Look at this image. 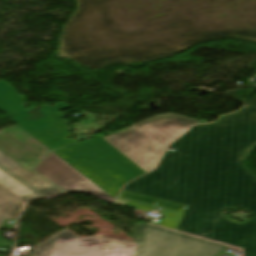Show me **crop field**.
Instances as JSON below:
<instances>
[{
  "label": "crop field",
  "mask_w": 256,
  "mask_h": 256,
  "mask_svg": "<svg viewBox=\"0 0 256 256\" xmlns=\"http://www.w3.org/2000/svg\"><path fill=\"white\" fill-rule=\"evenodd\" d=\"M195 123L175 115L153 117L103 139L147 172L156 167L164 148Z\"/></svg>",
  "instance_id": "412701ff"
},
{
  "label": "crop field",
  "mask_w": 256,
  "mask_h": 256,
  "mask_svg": "<svg viewBox=\"0 0 256 256\" xmlns=\"http://www.w3.org/2000/svg\"><path fill=\"white\" fill-rule=\"evenodd\" d=\"M21 208L19 200L0 189V226L4 220L16 219Z\"/></svg>",
  "instance_id": "5a996713"
},
{
  "label": "crop field",
  "mask_w": 256,
  "mask_h": 256,
  "mask_svg": "<svg viewBox=\"0 0 256 256\" xmlns=\"http://www.w3.org/2000/svg\"><path fill=\"white\" fill-rule=\"evenodd\" d=\"M53 151L114 199L127 182L145 173L100 136Z\"/></svg>",
  "instance_id": "34b2d1b8"
},
{
  "label": "crop field",
  "mask_w": 256,
  "mask_h": 256,
  "mask_svg": "<svg viewBox=\"0 0 256 256\" xmlns=\"http://www.w3.org/2000/svg\"><path fill=\"white\" fill-rule=\"evenodd\" d=\"M137 245L103 237L79 238L64 230L38 246L33 256H135Z\"/></svg>",
  "instance_id": "dd49c442"
},
{
  "label": "crop field",
  "mask_w": 256,
  "mask_h": 256,
  "mask_svg": "<svg viewBox=\"0 0 256 256\" xmlns=\"http://www.w3.org/2000/svg\"><path fill=\"white\" fill-rule=\"evenodd\" d=\"M0 185L25 202L61 192L8 155L0 151Z\"/></svg>",
  "instance_id": "e52e79f7"
},
{
  "label": "crop field",
  "mask_w": 256,
  "mask_h": 256,
  "mask_svg": "<svg viewBox=\"0 0 256 256\" xmlns=\"http://www.w3.org/2000/svg\"><path fill=\"white\" fill-rule=\"evenodd\" d=\"M246 108L194 126L170 145L157 169L123 189L189 205L212 158L242 164L256 148V96Z\"/></svg>",
  "instance_id": "8a807250"
},
{
  "label": "crop field",
  "mask_w": 256,
  "mask_h": 256,
  "mask_svg": "<svg viewBox=\"0 0 256 256\" xmlns=\"http://www.w3.org/2000/svg\"><path fill=\"white\" fill-rule=\"evenodd\" d=\"M244 256H256V231L244 236Z\"/></svg>",
  "instance_id": "3316defc"
},
{
  "label": "crop field",
  "mask_w": 256,
  "mask_h": 256,
  "mask_svg": "<svg viewBox=\"0 0 256 256\" xmlns=\"http://www.w3.org/2000/svg\"><path fill=\"white\" fill-rule=\"evenodd\" d=\"M227 209L251 217L236 223L223 214ZM179 230L243 249V235L256 230V178L243 165L213 159Z\"/></svg>",
  "instance_id": "ac0d7876"
},
{
  "label": "crop field",
  "mask_w": 256,
  "mask_h": 256,
  "mask_svg": "<svg viewBox=\"0 0 256 256\" xmlns=\"http://www.w3.org/2000/svg\"><path fill=\"white\" fill-rule=\"evenodd\" d=\"M139 235L136 256H217L224 245L139 223L132 229Z\"/></svg>",
  "instance_id": "f4fd0767"
},
{
  "label": "crop field",
  "mask_w": 256,
  "mask_h": 256,
  "mask_svg": "<svg viewBox=\"0 0 256 256\" xmlns=\"http://www.w3.org/2000/svg\"><path fill=\"white\" fill-rule=\"evenodd\" d=\"M34 169L65 191H86L109 202L114 200L53 152Z\"/></svg>",
  "instance_id": "d8731c3e"
},
{
  "label": "crop field",
  "mask_w": 256,
  "mask_h": 256,
  "mask_svg": "<svg viewBox=\"0 0 256 256\" xmlns=\"http://www.w3.org/2000/svg\"><path fill=\"white\" fill-rule=\"evenodd\" d=\"M12 246H13L12 242L0 240V248H12Z\"/></svg>",
  "instance_id": "28ad6ade"
}]
</instances>
